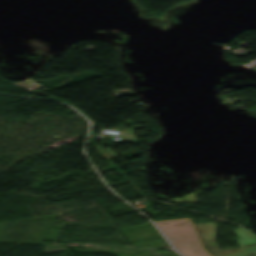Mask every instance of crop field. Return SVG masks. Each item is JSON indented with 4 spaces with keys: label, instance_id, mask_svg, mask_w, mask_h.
<instances>
[{
    "label": "crop field",
    "instance_id": "obj_1",
    "mask_svg": "<svg viewBox=\"0 0 256 256\" xmlns=\"http://www.w3.org/2000/svg\"><path fill=\"white\" fill-rule=\"evenodd\" d=\"M173 245L181 247L184 256H210L201 246L189 218L156 222Z\"/></svg>",
    "mask_w": 256,
    "mask_h": 256
},
{
    "label": "crop field",
    "instance_id": "obj_2",
    "mask_svg": "<svg viewBox=\"0 0 256 256\" xmlns=\"http://www.w3.org/2000/svg\"><path fill=\"white\" fill-rule=\"evenodd\" d=\"M204 246L210 248L212 256H246L250 252H256V236L240 227L234 232L241 236L236 240L241 248L219 250L213 241L215 226L212 222L194 225Z\"/></svg>",
    "mask_w": 256,
    "mask_h": 256
}]
</instances>
